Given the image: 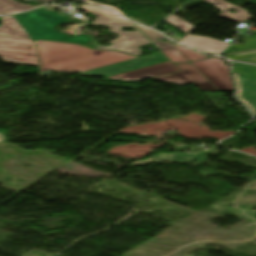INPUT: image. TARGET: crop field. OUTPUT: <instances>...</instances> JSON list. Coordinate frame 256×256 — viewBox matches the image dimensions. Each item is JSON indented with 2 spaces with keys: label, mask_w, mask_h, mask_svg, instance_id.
<instances>
[{
  "label": "crop field",
  "mask_w": 256,
  "mask_h": 256,
  "mask_svg": "<svg viewBox=\"0 0 256 256\" xmlns=\"http://www.w3.org/2000/svg\"><path fill=\"white\" fill-rule=\"evenodd\" d=\"M219 90H234L227 65L218 58L192 63Z\"/></svg>",
  "instance_id": "6"
},
{
  "label": "crop field",
  "mask_w": 256,
  "mask_h": 256,
  "mask_svg": "<svg viewBox=\"0 0 256 256\" xmlns=\"http://www.w3.org/2000/svg\"><path fill=\"white\" fill-rule=\"evenodd\" d=\"M166 22L185 31L187 34L195 28L194 26L182 21L180 18L174 15H171L170 17H168L166 19ZM179 42L189 46H194L205 52L215 53V54L221 53L225 49V47L228 45L227 43H223L210 38L200 37L196 35H189V34Z\"/></svg>",
  "instance_id": "7"
},
{
  "label": "crop field",
  "mask_w": 256,
  "mask_h": 256,
  "mask_svg": "<svg viewBox=\"0 0 256 256\" xmlns=\"http://www.w3.org/2000/svg\"><path fill=\"white\" fill-rule=\"evenodd\" d=\"M175 65L182 72L154 78V80L177 85L194 83L201 91L218 90L191 63Z\"/></svg>",
  "instance_id": "8"
},
{
  "label": "crop field",
  "mask_w": 256,
  "mask_h": 256,
  "mask_svg": "<svg viewBox=\"0 0 256 256\" xmlns=\"http://www.w3.org/2000/svg\"><path fill=\"white\" fill-rule=\"evenodd\" d=\"M138 26V25H137ZM149 39L172 61L175 63L187 62L188 60L171 44V42L163 43L156 41L158 38L162 37L161 34L156 33L147 28L138 26Z\"/></svg>",
  "instance_id": "11"
},
{
  "label": "crop field",
  "mask_w": 256,
  "mask_h": 256,
  "mask_svg": "<svg viewBox=\"0 0 256 256\" xmlns=\"http://www.w3.org/2000/svg\"><path fill=\"white\" fill-rule=\"evenodd\" d=\"M174 71H178V69L170 62H166L109 78L123 81L143 80Z\"/></svg>",
  "instance_id": "10"
},
{
  "label": "crop field",
  "mask_w": 256,
  "mask_h": 256,
  "mask_svg": "<svg viewBox=\"0 0 256 256\" xmlns=\"http://www.w3.org/2000/svg\"><path fill=\"white\" fill-rule=\"evenodd\" d=\"M36 46L40 72H81L136 57L118 52L91 50L74 44L39 41Z\"/></svg>",
  "instance_id": "1"
},
{
  "label": "crop field",
  "mask_w": 256,
  "mask_h": 256,
  "mask_svg": "<svg viewBox=\"0 0 256 256\" xmlns=\"http://www.w3.org/2000/svg\"><path fill=\"white\" fill-rule=\"evenodd\" d=\"M205 1L212 3L218 9H220L222 11V13L219 16H221V17H225V18L237 21V22L252 18V16H250L246 10L236 7L224 0H205ZM230 9H235L236 13L235 14L229 13L228 10H230Z\"/></svg>",
  "instance_id": "12"
},
{
  "label": "crop field",
  "mask_w": 256,
  "mask_h": 256,
  "mask_svg": "<svg viewBox=\"0 0 256 256\" xmlns=\"http://www.w3.org/2000/svg\"><path fill=\"white\" fill-rule=\"evenodd\" d=\"M189 61L205 59L206 57L188 48L174 45Z\"/></svg>",
  "instance_id": "16"
},
{
  "label": "crop field",
  "mask_w": 256,
  "mask_h": 256,
  "mask_svg": "<svg viewBox=\"0 0 256 256\" xmlns=\"http://www.w3.org/2000/svg\"><path fill=\"white\" fill-rule=\"evenodd\" d=\"M85 12L97 15L99 19L92 22L96 26H107L112 32L120 34V38L112 41V46L110 47H99L101 49H113L122 52H127L130 54L140 55L141 51L138 49L140 46L148 45L150 42L139 32H125L119 30L121 26L132 27L138 30L130 21L120 18L117 14L112 13L105 9H98L90 5H85L82 7Z\"/></svg>",
  "instance_id": "4"
},
{
  "label": "crop field",
  "mask_w": 256,
  "mask_h": 256,
  "mask_svg": "<svg viewBox=\"0 0 256 256\" xmlns=\"http://www.w3.org/2000/svg\"><path fill=\"white\" fill-rule=\"evenodd\" d=\"M163 61H166V59L162 54L159 53V54L151 55L149 57L129 60V61L115 64V65L96 69L90 72L83 73L82 75L89 76L92 74H97L99 76L109 77V76L129 72L132 70H136L139 68H143L146 66H150L153 64L161 63Z\"/></svg>",
  "instance_id": "9"
},
{
  "label": "crop field",
  "mask_w": 256,
  "mask_h": 256,
  "mask_svg": "<svg viewBox=\"0 0 256 256\" xmlns=\"http://www.w3.org/2000/svg\"><path fill=\"white\" fill-rule=\"evenodd\" d=\"M48 6L32 12L15 15L19 24L25 28L34 41L53 40L73 42L85 45L91 38L85 35H78L73 38L55 31L53 28L64 23H82L69 21L55 12L47 11Z\"/></svg>",
  "instance_id": "2"
},
{
  "label": "crop field",
  "mask_w": 256,
  "mask_h": 256,
  "mask_svg": "<svg viewBox=\"0 0 256 256\" xmlns=\"http://www.w3.org/2000/svg\"><path fill=\"white\" fill-rule=\"evenodd\" d=\"M35 8L31 5H21L12 0H0V14H9Z\"/></svg>",
  "instance_id": "13"
},
{
  "label": "crop field",
  "mask_w": 256,
  "mask_h": 256,
  "mask_svg": "<svg viewBox=\"0 0 256 256\" xmlns=\"http://www.w3.org/2000/svg\"><path fill=\"white\" fill-rule=\"evenodd\" d=\"M2 23L0 35L30 39L14 17L2 18ZM0 56L8 63L38 65L33 42L26 39L0 36Z\"/></svg>",
  "instance_id": "3"
},
{
  "label": "crop field",
  "mask_w": 256,
  "mask_h": 256,
  "mask_svg": "<svg viewBox=\"0 0 256 256\" xmlns=\"http://www.w3.org/2000/svg\"><path fill=\"white\" fill-rule=\"evenodd\" d=\"M232 48H237V50H233ZM252 48H256V36L253 38H246L243 44L230 46L223 53L228 54V53L238 52V51L252 49Z\"/></svg>",
  "instance_id": "14"
},
{
  "label": "crop field",
  "mask_w": 256,
  "mask_h": 256,
  "mask_svg": "<svg viewBox=\"0 0 256 256\" xmlns=\"http://www.w3.org/2000/svg\"><path fill=\"white\" fill-rule=\"evenodd\" d=\"M43 1H47V2H50V1H54V0H43ZM83 1H86L88 3H92V4H96V5H100V6H104V7H108L116 12H118L119 14H121L122 16L126 17L123 13H121L118 9L114 8V7H110V6H106V5H102V4H98V3H94V2H90V1H87V0H83Z\"/></svg>",
  "instance_id": "17"
},
{
  "label": "crop field",
  "mask_w": 256,
  "mask_h": 256,
  "mask_svg": "<svg viewBox=\"0 0 256 256\" xmlns=\"http://www.w3.org/2000/svg\"><path fill=\"white\" fill-rule=\"evenodd\" d=\"M226 58L256 64V51L226 56Z\"/></svg>",
  "instance_id": "15"
},
{
  "label": "crop field",
  "mask_w": 256,
  "mask_h": 256,
  "mask_svg": "<svg viewBox=\"0 0 256 256\" xmlns=\"http://www.w3.org/2000/svg\"><path fill=\"white\" fill-rule=\"evenodd\" d=\"M232 69L238 88L237 98L256 116V67L236 63Z\"/></svg>",
  "instance_id": "5"
}]
</instances>
